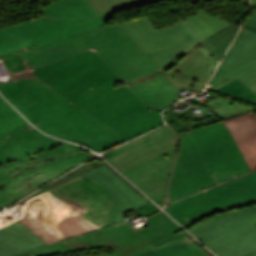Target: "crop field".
I'll return each instance as SVG.
<instances>
[{
  "label": "crop field",
  "mask_w": 256,
  "mask_h": 256,
  "mask_svg": "<svg viewBox=\"0 0 256 256\" xmlns=\"http://www.w3.org/2000/svg\"><path fill=\"white\" fill-rule=\"evenodd\" d=\"M1 60L16 76L0 91L36 126L99 151L161 125L160 111L180 98L118 24Z\"/></svg>",
  "instance_id": "1"
},
{
  "label": "crop field",
  "mask_w": 256,
  "mask_h": 256,
  "mask_svg": "<svg viewBox=\"0 0 256 256\" xmlns=\"http://www.w3.org/2000/svg\"><path fill=\"white\" fill-rule=\"evenodd\" d=\"M88 155L40 134L0 97V207L80 164Z\"/></svg>",
  "instance_id": "2"
},
{
  "label": "crop field",
  "mask_w": 256,
  "mask_h": 256,
  "mask_svg": "<svg viewBox=\"0 0 256 256\" xmlns=\"http://www.w3.org/2000/svg\"><path fill=\"white\" fill-rule=\"evenodd\" d=\"M179 151L166 204L250 172L222 122L178 134ZM219 146V147H217Z\"/></svg>",
  "instance_id": "3"
},
{
  "label": "crop field",
  "mask_w": 256,
  "mask_h": 256,
  "mask_svg": "<svg viewBox=\"0 0 256 256\" xmlns=\"http://www.w3.org/2000/svg\"><path fill=\"white\" fill-rule=\"evenodd\" d=\"M105 167L55 187L49 193L83 205V219L99 228L122 221L123 212L135 210L150 202Z\"/></svg>",
  "instance_id": "4"
},
{
  "label": "crop field",
  "mask_w": 256,
  "mask_h": 256,
  "mask_svg": "<svg viewBox=\"0 0 256 256\" xmlns=\"http://www.w3.org/2000/svg\"><path fill=\"white\" fill-rule=\"evenodd\" d=\"M146 220L150 226L142 230L129 223L117 227L112 225L62 240V243L67 253L108 247L112 250L109 256H135L153 249L147 242L182 230L162 211Z\"/></svg>",
  "instance_id": "5"
},
{
  "label": "crop field",
  "mask_w": 256,
  "mask_h": 256,
  "mask_svg": "<svg viewBox=\"0 0 256 256\" xmlns=\"http://www.w3.org/2000/svg\"><path fill=\"white\" fill-rule=\"evenodd\" d=\"M188 230L219 256H248L256 251V205L219 215Z\"/></svg>",
  "instance_id": "6"
},
{
  "label": "crop field",
  "mask_w": 256,
  "mask_h": 256,
  "mask_svg": "<svg viewBox=\"0 0 256 256\" xmlns=\"http://www.w3.org/2000/svg\"><path fill=\"white\" fill-rule=\"evenodd\" d=\"M254 202H256V171L170 204L164 210L188 228L199 218L213 212L227 211Z\"/></svg>",
  "instance_id": "7"
},
{
  "label": "crop field",
  "mask_w": 256,
  "mask_h": 256,
  "mask_svg": "<svg viewBox=\"0 0 256 256\" xmlns=\"http://www.w3.org/2000/svg\"><path fill=\"white\" fill-rule=\"evenodd\" d=\"M198 43L195 39L145 54L158 69L162 70L172 63L174 57L192 49ZM218 64L206 48H199L163 74L176 88L194 85L197 91H202Z\"/></svg>",
  "instance_id": "8"
},
{
  "label": "crop field",
  "mask_w": 256,
  "mask_h": 256,
  "mask_svg": "<svg viewBox=\"0 0 256 256\" xmlns=\"http://www.w3.org/2000/svg\"><path fill=\"white\" fill-rule=\"evenodd\" d=\"M114 15L96 16L79 20L43 17L17 24L26 34L0 44V57L37 44H44L94 27L104 25Z\"/></svg>",
  "instance_id": "9"
},
{
  "label": "crop field",
  "mask_w": 256,
  "mask_h": 256,
  "mask_svg": "<svg viewBox=\"0 0 256 256\" xmlns=\"http://www.w3.org/2000/svg\"><path fill=\"white\" fill-rule=\"evenodd\" d=\"M237 78L256 90V33L247 28L241 29L206 89L213 91Z\"/></svg>",
  "instance_id": "10"
},
{
  "label": "crop field",
  "mask_w": 256,
  "mask_h": 256,
  "mask_svg": "<svg viewBox=\"0 0 256 256\" xmlns=\"http://www.w3.org/2000/svg\"><path fill=\"white\" fill-rule=\"evenodd\" d=\"M178 139L168 126L137 138L105 155L120 172L177 147Z\"/></svg>",
  "instance_id": "11"
},
{
  "label": "crop field",
  "mask_w": 256,
  "mask_h": 256,
  "mask_svg": "<svg viewBox=\"0 0 256 256\" xmlns=\"http://www.w3.org/2000/svg\"><path fill=\"white\" fill-rule=\"evenodd\" d=\"M176 149L122 172L160 207L164 201Z\"/></svg>",
  "instance_id": "12"
},
{
  "label": "crop field",
  "mask_w": 256,
  "mask_h": 256,
  "mask_svg": "<svg viewBox=\"0 0 256 256\" xmlns=\"http://www.w3.org/2000/svg\"><path fill=\"white\" fill-rule=\"evenodd\" d=\"M127 23L150 51L195 39L182 21L159 30L154 28L147 17Z\"/></svg>",
  "instance_id": "13"
},
{
  "label": "crop field",
  "mask_w": 256,
  "mask_h": 256,
  "mask_svg": "<svg viewBox=\"0 0 256 256\" xmlns=\"http://www.w3.org/2000/svg\"><path fill=\"white\" fill-rule=\"evenodd\" d=\"M45 244L48 242L23 219L0 231V256H12Z\"/></svg>",
  "instance_id": "14"
},
{
  "label": "crop field",
  "mask_w": 256,
  "mask_h": 256,
  "mask_svg": "<svg viewBox=\"0 0 256 256\" xmlns=\"http://www.w3.org/2000/svg\"><path fill=\"white\" fill-rule=\"evenodd\" d=\"M223 124L230 130L251 171L256 169V114L235 117Z\"/></svg>",
  "instance_id": "15"
},
{
  "label": "crop field",
  "mask_w": 256,
  "mask_h": 256,
  "mask_svg": "<svg viewBox=\"0 0 256 256\" xmlns=\"http://www.w3.org/2000/svg\"><path fill=\"white\" fill-rule=\"evenodd\" d=\"M184 22L202 42L235 25L201 10L187 17Z\"/></svg>",
  "instance_id": "16"
},
{
  "label": "crop field",
  "mask_w": 256,
  "mask_h": 256,
  "mask_svg": "<svg viewBox=\"0 0 256 256\" xmlns=\"http://www.w3.org/2000/svg\"><path fill=\"white\" fill-rule=\"evenodd\" d=\"M39 11L42 16L68 19L97 15L87 0H59Z\"/></svg>",
  "instance_id": "17"
},
{
  "label": "crop field",
  "mask_w": 256,
  "mask_h": 256,
  "mask_svg": "<svg viewBox=\"0 0 256 256\" xmlns=\"http://www.w3.org/2000/svg\"><path fill=\"white\" fill-rule=\"evenodd\" d=\"M138 256H207L193 243L185 238L179 241H170L162 246Z\"/></svg>",
  "instance_id": "18"
},
{
  "label": "crop field",
  "mask_w": 256,
  "mask_h": 256,
  "mask_svg": "<svg viewBox=\"0 0 256 256\" xmlns=\"http://www.w3.org/2000/svg\"><path fill=\"white\" fill-rule=\"evenodd\" d=\"M198 107L201 108L205 113L197 116L200 121H191L190 126L187 122L180 121L170 109L164 111L165 120L176 131L177 134L185 130L189 131L195 128L222 121L218 117H216L210 110L206 109V107L202 104Z\"/></svg>",
  "instance_id": "19"
},
{
  "label": "crop field",
  "mask_w": 256,
  "mask_h": 256,
  "mask_svg": "<svg viewBox=\"0 0 256 256\" xmlns=\"http://www.w3.org/2000/svg\"><path fill=\"white\" fill-rule=\"evenodd\" d=\"M239 27L240 26L236 24L235 26L225 30L223 33L203 42L219 62L238 32Z\"/></svg>",
  "instance_id": "20"
},
{
  "label": "crop field",
  "mask_w": 256,
  "mask_h": 256,
  "mask_svg": "<svg viewBox=\"0 0 256 256\" xmlns=\"http://www.w3.org/2000/svg\"><path fill=\"white\" fill-rule=\"evenodd\" d=\"M98 15L115 13L130 7L147 4L146 0H88Z\"/></svg>",
  "instance_id": "21"
},
{
  "label": "crop field",
  "mask_w": 256,
  "mask_h": 256,
  "mask_svg": "<svg viewBox=\"0 0 256 256\" xmlns=\"http://www.w3.org/2000/svg\"><path fill=\"white\" fill-rule=\"evenodd\" d=\"M31 251L34 256L66 253L60 241L32 249Z\"/></svg>",
  "instance_id": "22"
},
{
  "label": "crop field",
  "mask_w": 256,
  "mask_h": 256,
  "mask_svg": "<svg viewBox=\"0 0 256 256\" xmlns=\"http://www.w3.org/2000/svg\"><path fill=\"white\" fill-rule=\"evenodd\" d=\"M21 35L24 33L16 25L0 29V43Z\"/></svg>",
  "instance_id": "23"
},
{
  "label": "crop field",
  "mask_w": 256,
  "mask_h": 256,
  "mask_svg": "<svg viewBox=\"0 0 256 256\" xmlns=\"http://www.w3.org/2000/svg\"><path fill=\"white\" fill-rule=\"evenodd\" d=\"M123 30L128 34V36L139 46V48L143 52L149 51L146 46L140 41V39L136 36V34L132 31V29L128 26L127 23H121L119 24Z\"/></svg>",
  "instance_id": "24"
},
{
  "label": "crop field",
  "mask_w": 256,
  "mask_h": 256,
  "mask_svg": "<svg viewBox=\"0 0 256 256\" xmlns=\"http://www.w3.org/2000/svg\"><path fill=\"white\" fill-rule=\"evenodd\" d=\"M187 235H189V234L186 233L185 231H183V232H180L178 234H175V235H172V236L160 239V240L150 242V244H151L152 247L155 246V245H162L163 243H165L167 241L178 240V239L184 238V236H187Z\"/></svg>",
  "instance_id": "25"
},
{
  "label": "crop field",
  "mask_w": 256,
  "mask_h": 256,
  "mask_svg": "<svg viewBox=\"0 0 256 256\" xmlns=\"http://www.w3.org/2000/svg\"><path fill=\"white\" fill-rule=\"evenodd\" d=\"M159 210V208L157 206H155L152 202L135 210V212H137L139 215H141L142 217H145L155 211Z\"/></svg>",
  "instance_id": "26"
},
{
  "label": "crop field",
  "mask_w": 256,
  "mask_h": 256,
  "mask_svg": "<svg viewBox=\"0 0 256 256\" xmlns=\"http://www.w3.org/2000/svg\"><path fill=\"white\" fill-rule=\"evenodd\" d=\"M242 26L256 32V12L247 21H245Z\"/></svg>",
  "instance_id": "27"
},
{
  "label": "crop field",
  "mask_w": 256,
  "mask_h": 256,
  "mask_svg": "<svg viewBox=\"0 0 256 256\" xmlns=\"http://www.w3.org/2000/svg\"><path fill=\"white\" fill-rule=\"evenodd\" d=\"M31 254H32V253H31V251L29 250V251H26V252L17 254V255H15V256H28V255H31Z\"/></svg>",
  "instance_id": "28"
},
{
  "label": "crop field",
  "mask_w": 256,
  "mask_h": 256,
  "mask_svg": "<svg viewBox=\"0 0 256 256\" xmlns=\"http://www.w3.org/2000/svg\"><path fill=\"white\" fill-rule=\"evenodd\" d=\"M155 1H159V0H148L149 3L155 2Z\"/></svg>",
  "instance_id": "29"
},
{
  "label": "crop field",
  "mask_w": 256,
  "mask_h": 256,
  "mask_svg": "<svg viewBox=\"0 0 256 256\" xmlns=\"http://www.w3.org/2000/svg\"><path fill=\"white\" fill-rule=\"evenodd\" d=\"M250 256H256V252H254L253 254H251Z\"/></svg>",
  "instance_id": "30"
},
{
  "label": "crop field",
  "mask_w": 256,
  "mask_h": 256,
  "mask_svg": "<svg viewBox=\"0 0 256 256\" xmlns=\"http://www.w3.org/2000/svg\"><path fill=\"white\" fill-rule=\"evenodd\" d=\"M254 93L256 94V91Z\"/></svg>",
  "instance_id": "31"
}]
</instances>
